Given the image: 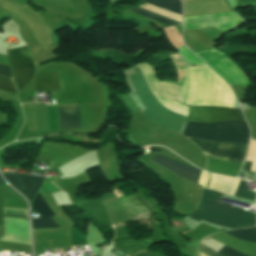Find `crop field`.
I'll use <instances>...</instances> for the list:
<instances>
[{"instance_id":"crop-field-6","label":"crop field","mask_w":256,"mask_h":256,"mask_svg":"<svg viewBox=\"0 0 256 256\" xmlns=\"http://www.w3.org/2000/svg\"><path fill=\"white\" fill-rule=\"evenodd\" d=\"M10 59L20 91L35 75L30 46L10 50Z\"/></svg>"},{"instance_id":"crop-field-16","label":"crop field","mask_w":256,"mask_h":256,"mask_svg":"<svg viewBox=\"0 0 256 256\" xmlns=\"http://www.w3.org/2000/svg\"><path fill=\"white\" fill-rule=\"evenodd\" d=\"M225 232L243 241L256 243V229L243 228V229H237L234 231H225Z\"/></svg>"},{"instance_id":"crop-field-31","label":"crop field","mask_w":256,"mask_h":256,"mask_svg":"<svg viewBox=\"0 0 256 256\" xmlns=\"http://www.w3.org/2000/svg\"><path fill=\"white\" fill-rule=\"evenodd\" d=\"M1 183H4V182H3V180H2V178H1V176H0V184H1Z\"/></svg>"},{"instance_id":"crop-field-3","label":"crop field","mask_w":256,"mask_h":256,"mask_svg":"<svg viewBox=\"0 0 256 256\" xmlns=\"http://www.w3.org/2000/svg\"><path fill=\"white\" fill-rule=\"evenodd\" d=\"M222 194L205 190L199 211L188 217L233 228L251 227L256 224V213L219 203Z\"/></svg>"},{"instance_id":"crop-field-11","label":"crop field","mask_w":256,"mask_h":256,"mask_svg":"<svg viewBox=\"0 0 256 256\" xmlns=\"http://www.w3.org/2000/svg\"><path fill=\"white\" fill-rule=\"evenodd\" d=\"M2 175L28 199L34 198V195L42 185L43 180V178L20 174Z\"/></svg>"},{"instance_id":"crop-field-2","label":"crop field","mask_w":256,"mask_h":256,"mask_svg":"<svg viewBox=\"0 0 256 256\" xmlns=\"http://www.w3.org/2000/svg\"><path fill=\"white\" fill-rule=\"evenodd\" d=\"M184 104L235 108L228 85L208 66L191 67Z\"/></svg>"},{"instance_id":"crop-field-25","label":"crop field","mask_w":256,"mask_h":256,"mask_svg":"<svg viewBox=\"0 0 256 256\" xmlns=\"http://www.w3.org/2000/svg\"><path fill=\"white\" fill-rule=\"evenodd\" d=\"M223 248H225L226 250H228V251H230V252H232V253H234V254H237V255H239V256H243V255H241V254H239V253L233 251L232 249L228 248L227 246H224ZM223 248H222L220 251H218V252L221 253V254H223V255H225V256H236V255H234V254H232V253L226 251V250L223 249Z\"/></svg>"},{"instance_id":"crop-field-20","label":"crop field","mask_w":256,"mask_h":256,"mask_svg":"<svg viewBox=\"0 0 256 256\" xmlns=\"http://www.w3.org/2000/svg\"><path fill=\"white\" fill-rule=\"evenodd\" d=\"M0 90L15 93V88H14L12 79L0 76Z\"/></svg>"},{"instance_id":"crop-field-29","label":"crop field","mask_w":256,"mask_h":256,"mask_svg":"<svg viewBox=\"0 0 256 256\" xmlns=\"http://www.w3.org/2000/svg\"><path fill=\"white\" fill-rule=\"evenodd\" d=\"M109 252L117 255V256H126L127 254H125L124 252H122L121 250L113 247Z\"/></svg>"},{"instance_id":"crop-field-27","label":"crop field","mask_w":256,"mask_h":256,"mask_svg":"<svg viewBox=\"0 0 256 256\" xmlns=\"http://www.w3.org/2000/svg\"><path fill=\"white\" fill-rule=\"evenodd\" d=\"M201 252H203L204 254L208 255V256H221L215 252H213L212 250L208 249L207 247L203 246L201 247Z\"/></svg>"},{"instance_id":"crop-field-8","label":"crop field","mask_w":256,"mask_h":256,"mask_svg":"<svg viewBox=\"0 0 256 256\" xmlns=\"http://www.w3.org/2000/svg\"><path fill=\"white\" fill-rule=\"evenodd\" d=\"M242 21L232 13L184 18V30L214 26L226 32Z\"/></svg>"},{"instance_id":"crop-field-4","label":"crop field","mask_w":256,"mask_h":256,"mask_svg":"<svg viewBox=\"0 0 256 256\" xmlns=\"http://www.w3.org/2000/svg\"><path fill=\"white\" fill-rule=\"evenodd\" d=\"M183 134L206 140L238 142L246 145L249 138V130L245 121L212 124L188 122Z\"/></svg>"},{"instance_id":"crop-field-9","label":"crop field","mask_w":256,"mask_h":256,"mask_svg":"<svg viewBox=\"0 0 256 256\" xmlns=\"http://www.w3.org/2000/svg\"><path fill=\"white\" fill-rule=\"evenodd\" d=\"M229 84L248 86L249 82L242 71L224 54L207 62Z\"/></svg>"},{"instance_id":"crop-field-23","label":"crop field","mask_w":256,"mask_h":256,"mask_svg":"<svg viewBox=\"0 0 256 256\" xmlns=\"http://www.w3.org/2000/svg\"><path fill=\"white\" fill-rule=\"evenodd\" d=\"M4 212H6V213L27 214V211H20V210H8V209H4ZM6 213H4V217L23 218V219H27V220H28L27 215L6 214Z\"/></svg>"},{"instance_id":"crop-field-12","label":"crop field","mask_w":256,"mask_h":256,"mask_svg":"<svg viewBox=\"0 0 256 256\" xmlns=\"http://www.w3.org/2000/svg\"><path fill=\"white\" fill-rule=\"evenodd\" d=\"M155 163L159 164L160 166L164 167L165 169H167V170H169L187 180H190L196 184L198 182V177H199L200 171L195 168L181 165V164H179L169 158L161 156V155H159L157 157Z\"/></svg>"},{"instance_id":"crop-field-14","label":"crop field","mask_w":256,"mask_h":256,"mask_svg":"<svg viewBox=\"0 0 256 256\" xmlns=\"http://www.w3.org/2000/svg\"><path fill=\"white\" fill-rule=\"evenodd\" d=\"M60 129L80 128L78 105L59 106Z\"/></svg>"},{"instance_id":"crop-field-1","label":"crop field","mask_w":256,"mask_h":256,"mask_svg":"<svg viewBox=\"0 0 256 256\" xmlns=\"http://www.w3.org/2000/svg\"><path fill=\"white\" fill-rule=\"evenodd\" d=\"M137 67L142 70L143 76L155 100L168 111L187 118L188 106L181 104L184 102L187 90L190 67H179L185 73L181 84L159 81L152 72L154 68L145 63L137 65ZM137 67L134 66L131 68L135 74L131 75L130 78L140 101L147 109L142 111V113L154 123L179 132L186 119L168 112L154 100L142 76L141 70Z\"/></svg>"},{"instance_id":"crop-field-18","label":"crop field","mask_w":256,"mask_h":256,"mask_svg":"<svg viewBox=\"0 0 256 256\" xmlns=\"http://www.w3.org/2000/svg\"><path fill=\"white\" fill-rule=\"evenodd\" d=\"M178 50L182 53V55L188 60L189 63L194 66H203L206 65L203 63L194 53L189 51L186 46L178 48Z\"/></svg>"},{"instance_id":"crop-field-15","label":"crop field","mask_w":256,"mask_h":256,"mask_svg":"<svg viewBox=\"0 0 256 256\" xmlns=\"http://www.w3.org/2000/svg\"><path fill=\"white\" fill-rule=\"evenodd\" d=\"M47 91L58 90V72L46 73ZM45 73L35 76L36 92L46 91Z\"/></svg>"},{"instance_id":"crop-field-10","label":"crop field","mask_w":256,"mask_h":256,"mask_svg":"<svg viewBox=\"0 0 256 256\" xmlns=\"http://www.w3.org/2000/svg\"><path fill=\"white\" fill-rule=\"evenodd\" d=\"M142 1L148 4H156V5L181 8L179 0H142ZM130 10L141 16L158 21L167 26L174 25V24H181V16H178V15L156 13V12H149V11H142V10H135V9H130Z\"/></svg>"},{"instance_id":"crop-field-28","label":"crop field","mask_w":256,"mask_h":256,"mask_svg":"<svg viewBox=\"0 0 256 256\" xmlns=\"http://www.w3.org/2000/svg\"><path fill=\"white\" fill-rule=\"evenodd\" d=\"M51 183V182H50ZM48 181H44V183H43V185H45L46 187H48V188H50L51 190H53V191H57L59 188L58 187H56L53 183V185L56 187V188H58V189H56L52 184H50ZM60 190V189H59ZM39 192H47V191H45L44 189H40L39 190Z\"/></svg>"},{"instance_id":"crop-field-30","label":"crop field","mask_w":256,"mask_h":256,"mask_svg":"<svg viewBox=\"0 0 256 256\" xmlns=\"http://www.w3.org/2000/svg\"><path fill=\"white\" fill-rule=\"evenodd\" d=\"M133 256H150L145 250L134 254Z\"/></svg>"},{"instance_id":"crop-field-5","label":"crop field","mask_w":256,"mask_h":256,"mask_svg":"<svg viewBox=\"0 0 256 256\" xmlns=\"http://www.w3.org/2000/svg\"><path fill=\"white\" fill-rule=\"evenodd\" d=\"M190 139L199 146L206 155L224 158L239 163L243 162L246 155L247 146L234 143L205 141L197 138Z\"/></svg>"},{"instance_id":"crop-field-19","label":"crop field","mask_w":256,"mask_h":256,"mask_svg":"<svg viewBox=\"0 0 256 256\" xmlns=\"http://www.w3.org/2000/svg\"><path fill=\"white\" fill-rule=\"evenodd\" d=\"M246 181L241 180L239 186L236 190L234 196L248 199V200H255V193L246 192Z\"/></svg>"},{"instance_id":"crop-field-13","label":"crop field","mask_w":256,"mask_h":256,"mask_svg":"<svg viewBox=\"0 0 256 256\" xmlns=\"http://www.w3.org/2000/svg\"><path fill=\"white\" fill-rule=\"evenodd\" d=\"M32 210L38 212L40 214V219L32 220L33 228H51V227H58L50 218L51 216L55 215L46 205L45 201L43 200L41 194H37Z\"/></svg>"},{"instance_id":"crop-field-21","label":"crop field","mask_w":256,"mask_h":256,"mask_svg":"<svg viewBox=\"0 0 256 256\" xmlns=\"http://www.w3.org/2000/svg\"><path fill=\"white\" fill-rule=\"evenodd\" d=\"M170 57L176 70L178 82L180 83V80L182 77H184V74L178 69V66H186V64L180 60L178 54L171 55Z\"/></svg>"},{"instance_id":"crop-field-24","label":"crop field","mask_w":256,"mask_h":256,"mask_svg":"<svg viewBox=\"0 0 256 256\" xmlns=\"http://www.w3.org/2000/svg\"><path fill=\"white\" fill-rule=\"evenodd\" d=\"M208 179H209V174L206 173V172H202L201 171L198 184H200L204 188H206L207 187V183H208Z\"/></svg>"},{"instance_id":"crop-field-22","label":"crop field","mask_w":256,"mask_h":256,"mask_svg":"<svg viewBox=\"0 0 256 256\" xmlns=\"http://www.w3.org/2000/svg\"><path fill=\"white\" fill-rule=\"evenodd\" d=\"M196 54L199 55L205 62H207L223 53L215 49H210V50L199 52Z\"/></svg>"},{"instance_id":"crop-field-17","label":"crop field","mask_w":256,"mask_h":256,"mask_svg":"<svg viewBox=\"0 0 256 256\" xmlns=\"http://www.w3.org/2000/svg\"><path fill=\"white\" fill-rule=\"evenodd\" d=\"M168 41L172 44L174 48L184 46L180 34L176 31L174 27L163 29Z\"/></svg>"},{"instance_id":"crop-field-7","label":"crop field","mask_w":256,"mask_h":256,"mask_svg":"<svg viewBox=\"0 0 256 256\" xmlns=\"http://www.w3.org/2000/svg\"><path fill=\"white\" fill-rule=\"evenodd\" d=\"M188 121L199 122H217L222 120H244L239 109L211 107V106H193L190 107Z\"/></svg>"},{"instance_id":"crop-field-26","label":"crop field","mask_w":256,"mask_h":256,"mask_svg":"<svg viewBox=\"0 0 256 256\" xmlns=\"http://www.w3.org/2000/svg\"><path fill=\"white\" fill-rule=\"evenodd\" d=\"M0 75L11 77L10 68L8 66H4L0 64Z\"/></svg>"}]
</instances>
